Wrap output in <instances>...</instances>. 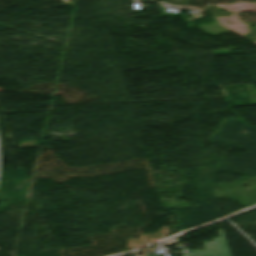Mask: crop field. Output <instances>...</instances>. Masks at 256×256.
I'll return each mask as SVG.
<instances>
[{
  "mask_svg": "<svg viewBox=\"0 0 256 256\" xmlns=\"http://www.w3.org/2000/svg\"><path fill=\"white\" fill-rule=\"evenodd\" d=\"M220 238L213 239L214 242L203 243L205 251H192V254L183 256H231L230 250L223 230H218Z\"/></svg>",
  "mask_w": 256,
  "mask_h": 256,
  "instance_id": "8a807250",
  "label": "crop field"
},
{
  "mask_svg": "<svg viewBox=\"0 0 256 256\" xmlns=\"http://www.w3.org/2000/svg\"><path fill=\"white\" fill-rule=\"evenodd\" d=\"M177 238H180L179 236L175 237V238H172L170 240H167V241H164L162 242L163 244L169 246V245H172V244H175V243H178V241H176L175 239Z\"/></svg>",
  "mask_w": 256,
  "mask_h": 256,
  "instance_id": "ac0d7876",
  "label": "crop field"
}]
</instances>
